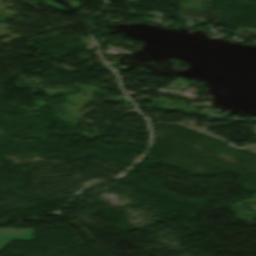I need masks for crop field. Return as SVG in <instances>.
Listing matches in <instances>:
<instances>
[{"label":"crop field","mask_w":256,"mask_h":256,"mask_svg":"<svg viewBox=\"0 0 256 256\" xmlns=\"http://www.w3.org/2000/svg\"><path fill=\"white\" fill-rule=\"evenodd\" d=\"M34 230H0V251L12 240L30 242Z\"/></svg>","instance_id":"obj_1"}]
</instances>
